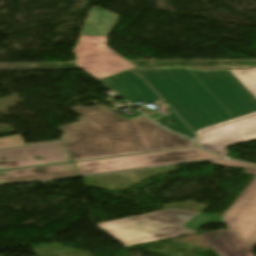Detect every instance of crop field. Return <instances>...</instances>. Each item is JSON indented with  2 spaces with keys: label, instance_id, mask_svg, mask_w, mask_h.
I'll use <instances>...</instances> for the list:
<instances>
[{
  "label": "crop field",
  "instance_id": "crop-field-2",
  "mask_svg": "<svg viewBox=\"0 0 256 256\" xmlns=\"http://www.w3.org/2000/svg\"><path fill=\"white\" fill-rule=\"evenodd\" d=\"M71 109L80 120L58 129L73 161L195 146L144 115L128 120L102 105Z\"/></svg>",
  "mask_w": 256,
  "mask_h": 256
},
{
  "label": "crop field",
  "instance_id": "crop-field-13",
  "mask_svg": "<svg viewBox=\"0 0 256 256\" xmlns=\"http://www.w3.org/2000/svg\"><path fill=\"white\" fill-rule=\"evenodd\" d=\"M256 98V68L249 70H230Z\"/></svg>",
  "mask_w": 256,
  "mask_h": 256
},
{
  "label": "crop field",
  "instance_id": "crop-field-4",
  "mask_svg": "<svg viewBox=\"0 0 256 256\" xmlns=\"http://www.w3.org/2000/svg\"><path fill=\"white\" fill-rule=\"evenodd\" d=\"M195 212L167 209L142 216L113 220L96 226L125 247L197 233L181 227Z\"/></svg>",
  "mask_w": 256,
  "mask_h": 256
},
{
  "label": "crop field",
  "instance_id": "crop-field-12",
  "mask_svg": "<svg viewBox=\"0 0 256 256\" xmlns=\"http://www.w3.org/2000/svg\"><path fill=\"white\" fill-rule=\"evenodd\" d=\"M170 114L164 115L161 117L153 118L156 122L161 124L162 126L171 129L173 131H176L178 133L184 134L186 136H189L193 139H196L198 136H196L192 130L175 114V112L169 107H165ZM169 120H172L173 123H170Z\"/></svg>",
  "mask_w": 256,
  "mask_h": 256
},
{
  "label": "crop field",
  "instance_id": "crop-field-16",
  "mask_svg": "<svg viewBox=\"0 0 256 256\" xmlns=\"http://www.w3.org/2000/svg\"><path fill=\"white\" fill-rule=\"evenodd\" d=\"M221 166H230V167H239V168H245L248 166V164L236 162V161H214V162H209Z\"/></svg>",
  "mask_w": 256,
  "mask_h": 256
},
{
  "label": "crop field",
  "instance_id": "crop-field-6",
  "mask_svg": "<svg viewBox=\"0 0 256 256\" xmlns=\"http://www.w3.org/2000/svg\"><path fill=\"white\" fill-rule=\"evenodd\" d=\"M0 150V170L72 161L62 140Z\"/></svg>",
  "mask_w": 256,
  "mask_h": 256
},
{
  "label": "crop field",
  "instance_id": "crop-field-11",
  "mask_svg": "<svg viewBox=\"0 0 256 256\" xmlns=\"http://www.w3.org/2000/svg\"><path fill=\"white\" fill-rule=\"evenodd\" d=\"M201 236L220 256H255L232 232H212Z\"/></svg>",
  "mask_w": 256,
  "mask_h": 256
},
{
  "label": "crop field",
  "instance_id": "crop-field-14",
  "mask_svg": "<svg viewBox=\"0 0 256 256\" xmlns=\"http://www.w3.org/2000/svg\"><path fill=\"white\" fill-rule=\"evenodd\" d=\"M207 223H223L221 218L217 215L201 213L194 220H192L186 227L197 230L200 226Z\"/></svg>",
  "mask_w": 256,
  "mask_h": 256
},
{
  "label": "crop field",
  "instance_id": "crop-field-8",
  "mask_svg": "<svg viewBox=\"0 0 256 256\" xmlns=\"http://www.w3.org/2000/svg\"><path fill=\"white\" fill-rule=\"evenodd\" d=\"M256 139V115L203 131L196 139L203 149L228 155L226 146Z\"/></svg>",
  "mask_w": 256,
  "mask_h": 256
},
{
  "label": "crop field",
  "instance_id": "crop-field-15",
  "mask_svg": "<svg viewBox=\"0 0 256 256\" xmlns=\"http://www.w3.org/2000/svg\"><path fill=\"white\" fill-rule=\"evenodd\" d=\"M26 146L20 134L0 138V149Z\"/></svg>",
  "mask_w": 256,
  "mask_h": 256
},
{
  "label": "crop field",
  "instance_id": "crop-field-7",
  "mask_svg": "<svg viewBox=\"0 0 256 256\" xmlns=\"http://www.w3.org/2000/svg\"><path fill=\"white\" fill-rule=\"evenodd\" d=\"M245 173L256 176V166H251ZM222 221L251 250L256 245V178L244 190Z\"/></svg>",
  "mask_w": 256,
  "mask_h": 256
},
{
  "label": "crop field",
  "instance_id": "crop-field-9",
  "mask_svg": "<svg viewBox=\"0 0 256 256\" xmlns=\"http://www.w3.org/2000/svg\"><path fill=\"white\" fill-rule=\"evenodd\" d=\"M100 81L130 103L148 104L161 100L139 75L130 70Z\"/></svg>",
  "mask_w": 256,
  "mask_h": 256
},
{
  "label": "crop field",
  "instance_id": "crop-field-5",
  "mask_svg": "<svg viewBox=\"0 0 256 256\" xmlns=\"http://www.w3.org/2000/svg\"><path fill=\"white\" fill-rule=\"evenodd\" d=\"M211 158H223L201 151L197 148L178 149L162 152L147 153L141 155L116 157L109 159L93 160L76 163L81 175L99 173L105 171L130 169L138 167L174 164L206 160Z\"/></svg>",
  "mask_w": 256,
  "mask_h": 256
},
{
  "label": "crop field",
  "instance_id": "crop-field-1",
  "mask_svg": "<svg viewBox=\"0 0 256 256\" xmlns=\"http://www.w3.org/2000/svg\"><path fill=\"white\" fill-rule=\"evenodd\" d=\"M131 70L139 74L196 135L256 114V99L229 70L199 71L188 66Z\"/></svg>",
  "mask_w": 256,
  "mask_h": 256
},
{
  "label": "crop field",
  "instance_id": "crop-field-10",
  "mask_svg": "<svg viewBox=\"0 0 256 256\" xmlns=\"http://www.w3.org/2000/svg\"><path fill=\"white\" fill-rule=\"evenodd\" d=\"M75 175H80L75 163H66L0 172V184L27 180L64 178Z\"/></svg>",
  "mask_w": 256,
  "mask_h": 256
},
{
  "label": "crop field",
  "instance_id": "crop-field-3",
  "mask_svg": "<svg viewBox=\"0 0 256 256\" xmlns=\"http://www.w3.org/2000/svg\"><path fill=\"white\" fill-rule=\"evenodd\" d=\"M116 17V14L92 7L74 49L77 67L85 69L97 80L135 67L106 46L107 35L117 22Z\"/></svg>",
  "mask_w": 256,
  "mask_h": 256
}]
</instances>
